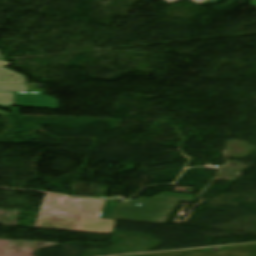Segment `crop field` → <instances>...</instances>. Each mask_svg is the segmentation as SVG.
Here are the masks:
<instances>
[{
  "label": "crop field",
  "mask_w": 256,
  "mask_h": 256,
  "mask_svg": "<svg viewBox=\"0 0 256 256\" xmlns=\"http://www.w3.org/2000/svg\"><path fill=\"white\" fill-rule=\"evenodd\" d=\"M178 201L194 202L195 195L162 193L152 198L118 202L112 219L163 224ZM136 203L141 206H136Z\"/></svg>",
  "instance_id": "1"
},
{
  "label": "crop field",
  "mask_w": 256,
  "mask_h": 256,
  "mask_svg": "<svg viewBox=\"0 0 256 256\" xmlns=\"http://www.w3.org/2000/svg\"><path fill=\"white\" fill-rule=\"evenodd\" d=\"M130 256H256V244L236 245Z\"/></svg>",
  "instance_id": "2"
},
{
  "label": "crop field",
  "mask_w": 256,
  "mask_h": 256,
  "mask_svg": "<svg viewBox=\"0 0 256 256\" xmlns=\"http://www.w3.org/2000/svg\"><path fill=\"white\" fill-rule=\"evenodd\" d=\"M51 196L46 195L39 212L91 217L98 201L67 198L64 204H49Z\"/></svg>",
  "instance_id": "3"
},
{
  "label": "crop field",
  "mask_w": 256,
  "mask_h": 256,
  "mask_svg": "<svg viewBox=\"0 0 256 256\" xmlns=\"http://www.w3.org/2000/svg\"><path fill=\"white\" fill-rule=\"evenodd\" d=\"M15 106L41 108L57 111L59 102L56 98L40 93H14Z\"/></svg>",
  "instance_id": "4"
},
{
  "label": "crop field",
  "mask_w": 256,
  "mask_h": 256,
  "mask_svg": "<svg viewBox=\"0 0 256 256\" xmlns=\"http://www.w3.org/2000/svg\"><path fill=\"white\" fill-rule=\"evenodd\" d=\"M101 213L95 212L92 218L80 217L75 231L111 234L115 220L99 219Z\"/></svg>",
  "instance_id": "5"
},
{
  "label": "crop field",
  "mask_w": 256,
  "mask_h": 256,
  "mask_svg": "<svg viewBox=\"0 0 256 256\" xmlns=\"http://www.w3.org/2000/svg\"><path fill=\"white\" fill-rule=\"evenodd\" d=\"M13 92H27L26 85H0V105L14 104Z\"/></svg>",
  "instance_id": "6"
},
{
  "label": "crop field",
  "mask_w": 256,
  "mask_h": 256,
  "mask_svg": "<svg viewBox=\"0 0 256 256\" xmlns=\"http://www.w3.org/2000/svg\"><path fill=\"white\" fill-rule=\"evenodd\" d=\"M0 83H27V81L24 76L0 67Z\"/></svg>",
  "instance_id": "7"
},
{
  "label": "crop field",
  "mask_w": 256,
  "mask_h": 256,
  "mask_svg": "<svg viewBox=\"0 0 256 256\" xmlns=\"http://www.w3.org/2000/svg\"><path fill=\"white\" fill-rule=\"evenodd\" d=\"M65 200H66L65 197H59V196L53 195L50 203H64Z\"/></svg>",
  "instance_id": "8"
},
{
  "label": "crop field",
  "mask_w": 256,
  "mask_h": 256,
  "mask_svg": "<svg viewBox=\"0 0 256 256\" xmlns=\"http://www.w3.org/2000/svg\"><path fill=\"white\" fill-rule=\"evenodd\" d=\"M107 201L99 200L95 211H102Z\"/></svg>",
  "instance_id": "9"
},
{
  "label": "crop field",
  "mask_w": 256,
  "mask_h": 256,
  "mask_svg": "<svg viewBox=\"0 0 256 256\" xmlns=\"http://www.w3.org/2000/svg\"><path fill=\"white\" fill-rule=\"evenodd\" d=\"M9 62L7 61H0V66H8Z\"/></svg>",
  "instance_id": "10"
},
{
  "label": "crop field",
  "mask_w": 256,
  "mask_h": 256,
  "mask_svg": "<svg viewBox=\"0 0 256 256\" xmlns=\"http://www.w3.org/2000/svg\"><path fill=\"white\" fill-rule=\"evenodd\" d=\"M0 114L8 115V114H6V113H4V112H1V111H0Z\"/></svg>",
  "instance_id": "11"
},
{
  "label": "crop field",
  "mask_w": 256,
  "mask_h": 256,
  "mask_svg": "<svg viewBox=\"0 0 256 256\" xmlns=\"http://www.w3.org/2000/svg\"><path fill=\"white\" fill-rule=\"evenodd\" d=\"M0 60H3V58H2V56H1V54H0Z\"/></svg>",
  "instance_id": "12"
}]
</instances>
